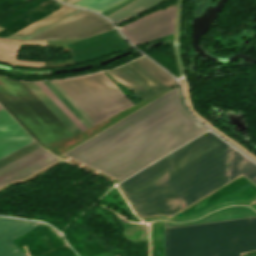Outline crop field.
Listing matches in <instances>:
<instances>
[{
    "label": "crop field",
    "mask_w": 256,
    "mask_h": 256,
    "mask_svg": "<svg viewBox=\"0 0 256 256\" xmlns=\"http://www.w3.org/2000/svg\"><path fill=\"white\" fill-rule=\"evenodd\" d=\"M241 173L256 184V165L208 132L120 185L141 217L172 215Z\"/></svg>",
    "instance_id": "8a807250"
},
{
    "label": "crop field",
    "mask_w": 256,
    "mask_h": 256,
    "mask_svg": "<svg viewBox=\"0 0 256 256\" xmlns=\"http://www.w3.org/2000/svg\"><path fill=\"white\" fill-rule=\"evenodd\" d=\"M205 131L171 90L64 154L122 181Z\"/></svg>",
    "instance_id": "ac0d7876"
},
{
    "label": "crop field",
    "mask_w": 256,
    "mask_h": 256,
    "mask_svg": "<svg viewBox=\"0 0 256 256\" xmlns=\"http://www.w3.org/2000/svg\"><path fill=\"white\" fill-rule=\"evenodd\" d=\"M256 250V217L165 229L166 256H240Z\"/></svg>",
    "instance_id": "34b2d1b8"
},
{
    "label": "crop field",
    "mask_w": 256,
    "mask_h": 256,
    "mask_svg": "<svg viewBox=\"0 0 256 256\" xmlns=\"http://www.w3.org/2000/svg\"><path fill=\"white\" fill-rule=\"evenodd\" d=\"M0 103L41 146L73 136L23 82L0 76Z\"/></svg>",
    "instance_id": "412701ff"
},
{
    "label": "crop field",
    "mask_w": 256,
    "mask_h": 256,
    "mask_svg": "<svg viewBox=\"0 0 256 256\" xmlns=\"http://www.w3.org/2000/svg\"><path fill=\"white\" fill-rule=\"evenodd\" d=\"M56 82L96 123L132 105L102 72Z\"/></svg>",
    "instance_id": "f4fd0767"
},
{
    "label": "crop field",
    "mask_w": 256,
    "mask_h": 256,
    "mask_svg": "<svg viewBox=\"0 0 256 256\" xmlns=\"http://www.w3.org/2000/svg\"><path fill=\"white\" fill-rule=\"evenodd\" d=\"M136 62L139 65H141L143 68H145L147 71L152 73L154 76H156L158 79H160L162 82H164L166 85L169 86L176 82L170 75H168L166 72H164L161 68H159L153 62H151L149 59L144 58V59H141ZM137 63H135L133 61L123 67H120L119 69H121L123 72H125L126 74L131 76L133 79H135L136 81L141 83L146 88L143 87L138 82H136L135 80H133L128 75H126L125 73H123L119 69L108 71L107 73H109L114 78H116L117 80L122 82L128 89H130L134 86H136L140 90L145 88L141 91L139 89H137L136 87L131 89L135 93H137L140 97H142L143 99H145L159 91H162V90L168 88V86H166L164 83H162L156 77L151 75L149 72H147L141 66H139Z\"/></svg>",
    "instance_id": "dd49c442"
},
{
    "label": "crop field",
    "mask_w": 256,
    "mask_h": 256,
    "mask_svg": "<svg viewBox=\"0 0 256 256\" xmlns=\"http://www.w3.org/2000/svg\"><path fill=\"white\" fill-rule=\"evenodd\" d=\"M111 28L112 24L104 18L81 10L29 39L88 37Z\"/></svg>",
    "instance_id": "e52e79f7"
},
{
    "label": "crop field",
    "mask_w": 256,
    "mask_h": 256,
    "mask_svg": "<svg viewBox=\"0 0 256 256\" xmlns=\"http://www.w3.org/2000/svg\"><path fill=\"white\" fill-rule=\"evenodd\" d=\"M175 6L146 15L123 27L121 31L134 45L173 33Z\"/></svg>",
    "instance_id": "d8731c3e"
},
{
    "label": "crop field",
    "mask_w": 256,
    "mask_h": 256,
    "mask_svg": "<svg viewBox=\"0 0 256 256\" xmlns=\"http://www.w3.org/2000/svg\"><path fill=\"white\" fill-rule=\"evenodd\" d=\"M59 160L41 147L0 169V187L13 180L23 179Z\"/></svg>",
    "instance_id": "5a996713"
},
{
    "label": "crop field",
    "mask_w": 256,
    "mask_h": 256,
    "mask_svg": "<svg viewBox=\"0 0 256 256\" xmlns=\"http://www.w3.org/2000/svg\"><path fill=\"white\" fill-rule=\"evenodd\" d=\"M34 222L9 217H0V256H26L11 242L41 226Z\"/></svg>",
    "instance_id": "3316defc"
},
{
    "label": "crop field",
    "mask_w": 256,
    "mask_h": 256,
    "mask_svg": "<svg viewBox=\"0 0 256 256\" xmlns=\"http://www.w3.org/2000/svg\"><path fill=\"white\" fill-rule=\"evenodd\" d=\"M34 141L3 109L0 111V158Z\"/></svg>",
    "instance_id": "28ad6ade"
},
{
    "label": "crop field",
    "mask_w": 256,
    "mask_h": 256,
    "mask_svg": "<svg viewBox=\"0 0 256 256\" xmlns=\"http://www.w3.org/2000/svg\"><path fill=\"white\" fill-rule=\"evenodd\" d=\"M77 11L79 10L64 6L39 20L38 22L29 25L8 37L27 39Z\"/></svg>",
    "instance_id": "d1516ede"
},
{
    "label": "crop field",
    "mask_w": 256,
    "mask_h": 256,
    "mask_svg": "<svg viewBox=\"0 0 256 256\" xmlns=\"http://www.w3.org/2000/svg\"><path fill=\"white\" fill-rule=\"evenodd\" d=\"M166 0H134L107 17L117 26Z\"/></svg>",
    "instance_id": "22f410ed"
},
{
    "label": "crop field",
    "mask_w": 256,
    "mask_h": 256,
    "mask_svg": "<svg viewBox=\"0 0 256 256\" xmlns=\"http://www.w3.org/2000/svg\"><path fill=\"white\" fill-rule=\"evenodd\" d=\"M34 94L57 116V118L74 134L82 132L52 101L51 99L35 84L24 82Z\"/></svg>",
    "instance_id": "cbeb9de0"
},
{
    "label": "crop field",
    "mask_w": 256,
    "mask_h": 256,
    "mask_svg": "<svg viewBox=\"0 0 256 256\" xmlns=\"http://www.w3.org/2000/svg\"><path fill=\"white\" fill-rule=\"evenodd\" d=\"M51 99L52 101L83 131L87 129L77 117L55 96V94L43 83H36Z\"/></svg>",
    "instance_id": "5142ce71"
},
{
    "label": "crop field",
    "mask_w": 256,
    "mask_h": 256,
    "mask_svg": "<svg viewBox=\"0 0 256 256\" xmlns=\"http://www.w3.org/2000/svg\"><path fill=\"white\" fill-rule=\"evenodd\" d=\"M121 0H82L74 6L102 12Z\"/></svg>",
    "instance_id": "d9b57169"
},
{
    "label": "crop field",
    "mask_w": 256,
    "mask_h": 256,
    "mask_svg": "<svg viewBox=\"0 0 256 256\" xmlns=\"http://www.w3.org/2000/svg\"><path fill=\"white\" fill-rule=\"evenodd\" d=\"M40 147L35 141L22 147L21 149L9 154L8 156L0 159V167L14 161L15 159L27 154L28 152Z\"/></svg>",
    "instance_id": "733c2abd"
},
{
    "label": "crop field",
    "mask_w": 256,
    "mask_h": 256,
    "mask_svg": "<svg viewBox=\"0 0 256 256\" xmlns=\"http://www.w3.org/2000/svg\"><path fill=\"white\" fill-rule=\"evenodd\" d=\"M55 94L56 96L79 118V120L87 127L91 125L80 115V113L58 92V90L49 82H44Z\"/></svg>",
    "instance_id": "4a817a6b"
},
{
    "label": "crop field",
    "mask_w": 256,
    "mask_h": 256,
    "mask_svg": "<svg viewBox=\"0 0 256 256\" xmlns=\"http://www.w3.org/2000/svg\"><path fill=\"white\" fill-rule=\"evenodd\" d=\"M59 92L81 113V115L93 126L96 123L82 110V108L55 82L50 81Z\"/></svg>",
    "instance_id": "bc2a9ffb"
},
{
    "label": "crop field",
    "mask_w": 256,
    "mask_h": 256,
    "mask_svg": "<svg viewBox=\"0 0 256 256\" xmlns=\"http://www.w3.org/2000/svg\"><path fill=\"white\" fill-rule=\"evenodd\" d=\"M130 1H132V0H123V1H121L120 3L114 5L113 7L107 9L106 11L102 12L101 14H103V15L106 16L107 14L113 12L114 10L120 8L121 6L127 4V3L130 2Z\"/></svg>",
    "instance_id": "214f88e0"
},
{
    "label": "crop field",
    "mask_w": 256,
    "mask_h": 256,
    "mask_svg": "<svg viewBox=\"0 0 256 256\" xmlns=\"http://www.w3.org/2000/svg\"><path fill=\"white\" fill-rule=\"evenodd\" d=\"M78 1H80V0H74V1L70 2L69 4L73 5V4L77 3Z\"/></svg>",
    "instance_id": "92a150f3"
},
{
    "label": "crop field",
    "mask_w": 256,
    "mask_h": 256,
    "mask_svg": "<svg viewBox=\"0 0 256 256\" xmlns=\"http://www.w3.org/2000/svg\"><path fill=\"white\" fill-rule=\"evenodd\" d=\"M61 1L67 3V2H69V1H71V0H61Z\"/></svg>",
    "instance_id": "dafd665d"
},
{
    "label": "crop field",
    "mask_w": 256,
    "mask_h": 256,
    "mask_svg": "<svg viewBox=\"0 0 256 256\" xmlns=\"http://www.w3.org/2000/svg\"><path fill=\"white\" fill-rule=\"evenodd\" d=\"M3 30V28L0 27V31Z\"/></svg>",
    "instance_id": "00972430"
},
{
    "label": "crop field",
    "mask_w": 256,
    "mask_h": 256,
    "mask_svg": "<svg viewBox=\"0 0 256 256\" xmlns=\"http://www.w3.org/2000/svg\"><path fill=\"white\" fill-rule=\"evenodd\" d=\"M0 109H2V107L0 106Z\"/></svg>",
    "instance_id": "a9b5d70f"
}]
</instances>
